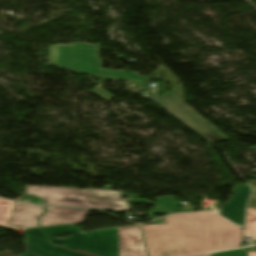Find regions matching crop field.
I'll list each match as a JSON object with an SVG mask.
<instances>
[{"label": "crop field", "instance_id": "8a807250", "mask_svg": "<svg viewBox=\"0 0 256 256\" xmlns=\"http://www.w3.org/2000/svg\"><path fill=\"white\" fill-rule=\"evenodd\" d=\"M167 226H142L149 256H188L235 248L241 244V229L211 212L176 214Z\"/></svg>", "mask_w": 256, "mask_h": 256}, {"label": "crop field", "instance_id": "ac0d7876", "mask_svg": "<svg viewBox=\"0 0 256 256\" xmlns=\"http://www.w3.org/2000/svg\"><path fill=\"white\" fill-rule=\"evenodd\" d=\"M99 46L75 42L73 46L50 45V64L67 68L72 71L92 75L124 78L146 82L150 78L127 73L101 69V59L98 58Z\"/></svg>", "mask_w": 256, "mask_h": 256}, {"label": "crop field", "instance_id": "34b2d1b8", "mask_svg": "<svg viewBox=\"0 0 256 256\" xmlns=\"http://www.w3.org/2000/svg\"><path fill=\"white\" fill-rule=\"evenodd\" d=\"M26 194L45 200L46 205H72L112 210H129L126 201H117L120 193L115 191H80L71 188L27 186Z\"/></svg>", "mask_w": 256, "mask_h": 256}, {"label": "crop field", "instance_id": "412701ff", "mask_svg": "<svg viewBox=\"0 0 256 256\" xmlns=\"http://www.w3.org/2000/svg\"><path fill=\"white\" fill-rule=\"evenodd\" d=\"M50 240L73 249H84L101 256H118L117 228L83 233L72 226H54L43 228ZM63 233H72V237L59 239Z\"/></svg>", "mask_w": 256, "mask_h": 256}, {"label": "crop field", "instance_id": "f4fd0767", "mask_svg": "<svg viewBox=\"0 0 256 256\" xmlns=\"http://www.w3.org/2000/svg\"><path fill=\"white\" fill-rule=\"evenodd\" d=\"M156 100L211 142L228 139L173 92L163 94Z\"/></svg>", "mask_w": 256, "mask_h": 256}, {"label": "crop field", "instance_id": "dd49c442", "mask_svg": "<svg viewBox=\"0 0 256 256\" xmlns=\"http://www.w3.org/2000/svg\"><path fill=\"white\" fill-rule=\"evenodd\" d=\"M25 253L17 256H86L52 246L39 228L26 230Z\"/></svg>", "mask_w": 256, "mask_h": 256}, {"label": "crop field", "instance_id": "e52e79f7", "mask_svg": "<svg viewBox=\"0 0 256 256\" xmlns=\"http://www.w3.org/2000/svg\"><path fill=\"white\" fill-rule=\"evenodd\" d=\"M119 256H147L139 226L118 228Z\"/></svg>", "mask_w": 256, "mask_h": 256}, {"label": "crop field", "instance_id": "d8731c3e", "mask_svg": "<svg viewBox=\"0 0 256 256\" xmlns=\"http://www.w3.org/2000/svg\"><path fill=\"white\" fill-rule=\"evenodd\" d=\"M232 193L234 197L228 203L221 205V216L236 224H242L244 207L250 195V188L246 185H235Z\"/></svg>", "mask_w": 256, "mask_h": 256}, {"label": "crop field", "instance_id": "5a996713", "mask_svg": "<svg viewBox=\"0 0 256 256\" xmlns=\"http://www.w3.org/2000/svg\"><path fill=\"white\" fill-rule=\"evenodd\" d=\"M47 212L40 217V225L76 223L82 224L88 210L61 207H46Z\"/></svg>", "mask_w": 256, "mask_h": 256}, {"label": "crop field", "instance_id": "3316defc", "mask_svg": "<svg viewBox=\"0 0 256 256\" xmlns=\"http://www.w3.org/2000/svg\"><path fill=\"white\" fill-rule=\"evenodd\" d=\"M44 211L41 206L16 202L8 225L21 228L38 226L37 217Z\"/></svg>", "mask_w": 256, "mask_h": 256}, {"label": "crop field", "instance_id": "28ad6ade", "mask_svg": "<svg viewBox=\"0 0 256 256\" xmlns=\"http://www.w3.org/2000/svg\"><path fill=\"white\" fill-rule=\"evenodd\" d=\"M14 203V201L0 199V226L11 229H18L14 226H7Z\"/></svg>", "mask_w": 256, "mask_h": 256}, {"label": "crop field", "instance_id": "d1516ede", "mask_svg": "<svg viewBox=\"0 0 256 256\" xmlns=\"http://www.w3.org/2000/svg\"><path fill=\"white\" fill-rule=\"evenodd\" d=\"M90 77H94V78H99V79H102L100 81V83L92 90L95 94H97L98 96L106 99V100H111L114 97V95L106 92L104 89L101 88L103 82L105 79H108V80H113V81H123V80H118V79H113V78H106V77H98V76H92V75H88ZM124 82H130V83H135V84H140V85H146V83H142V82H133V81H124Z\"/></svg>", "mask_w": 256, "mask_h": 256}, {"label": "crop field", "instance_id": "22f410ed", "mask_svg": "<svg viewBox=\"0 0 256 256\" xmlns=\"http://www.w3.org/2000/svg\"><path fill=\"white\" fill-rule=\"evenodd\" d=\"M246 232L256 237V210L248 208V214L246 219Z\"/></svg>", "mask_w": 256, "mask_h": 256}, {"label": "crop field", "instance_id": "cbeb9de0", "mask_svg": "<svg viewBox=\"0 0 256 256\" xmlns=\"http://www.w3.org/2000/svg\"><path fill=\"white\" fill-rule=\"evenodd\" d=\"M211 256H247V251H242L241 249H238V250L212 253Z\"/></svg>", "mask_w": 256, "mask_h": 256}, {"label": "crop field", "instance_id": "5142ce71", "mask_svg": "<svg viewBox=\"0 0 256 256\" xmlns=\"http://www.w3.org/2000/svg\"><path fill=\"white\" fill-rule=\"evenodd\" d=\"M156 208H157V209L153 210V212H155V213L161 212V213H163V214H165V215L174 213L173 211H171V210H169V209L163 207L162 205L156 206Z\"/></svg>", "mask_w": 256, "mask_h": 256}, {"label": "crop field", "instance_id": "d9b57169", "mask_svg": "<svg viewBox=\"0 0 256 256\" xmlns=\"http://www.w3.org/2000/svg\"><path fill=\"white\" fill-rule=\"evenodd\" d=\"M20 200H27V201H32V203L42 204L41 200H39L37 198L30 197V196H25V197L21 198Z\"/></svg>", "mask_w": 256, "mask_h": 256}, {"label": "crop field", "instance_id": "733c2abd", "mask_svg": "<svg viewBox=\"0 0 256 256\" xmlns=\"http://www.w3.org/2000/svg\"><path fill=\"white\" fill-rule=\"evenodd\" d=\"M248 256H256V252H254V251H249V252H248Z\"/></svg>", "mask_w": 256, "mask_h": 256}, {"label": "crop field", "instance_id": "4a817a6b", "mask_svg": "<svg viewBox=\"0 0 256 256\" xmlns=\"http://www.w3.org/2000/svg\"><path fill=\"white\" fill-rule=\"evenodd\" d=\"M201 256H210V254H205V255H201Z\"/></svg>", "mask_w": 256, "mask_h": 256}]
</instances>
